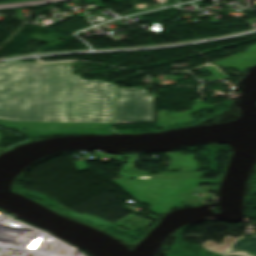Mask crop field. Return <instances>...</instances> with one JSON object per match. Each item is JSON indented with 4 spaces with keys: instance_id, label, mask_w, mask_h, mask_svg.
<instances>
[{
    "instance_id": "1",
    "label": "crop field",
    "mask_w": 256,
    "mask_h": 256,
    "mask_svg": "<svg viewBox=\"0 0 256 256\" xmlns=\"http://www.w3.org/2000/svg\"><path fill=\"white\" fill-rule=\"evenodd\" d=\"M72 61L0 64V122L29 134L111 131L115 85L71 74Z\"/></svg>"
},
{
    "instance_id": "2",
    "label": "crop field",
    "mask_w": 256,
    "mask_h": 256,
    "mask_svg": "<svg viewBox=\"0 0 256 256\" xmlns=\"http://www.w3.org/2000/svg\"><path fill=\"white\" fill-rule=\"evenodd\" d=\"M152 96L144 88H118L115 123L152 122Z\"/></svg>"
},
{
    "instance_id": "3",
    "label": "crop field",
    "mask_w": 256,
    "mask_h": 256,
    "mask_svg": "<svg viewBox=\"0 0 256 256\" xmlns=\"http://www.w3.org/2000/svg\"><path fill=\"white\" fill-rule=\"evenodd\" d=\"M253 63H256V44L251 45L245 53L234 54L214 64L243 71L246 66Z\"/></svg>"
},
{
    "instance_id": "4",
    "label": "crop field",
    "mask_w": 256,
    "mask_h": 256,
    "mask_svg": "<svg viewBox=\"0 0 256 256\" xmlns=\"http://www.w3.org/2000/svg\"><path fill=\"white\" fill-rule=\"evenodd\" d=\"M229 254L256 256V236L238 239L224 252V255Z\"/></svg>"
},
{
    "instance_id": "5",
    "label": "crop field",
    "mask_w": 256,
    "mask_h": 256,
    "mask_svg": "<svg viewBox=\"0 0 256 256\" xmlns=\"http://www.w3.org/2000/svg\"><path fill=\"white\" fill-rule=\"evenodd\" d=\"M233 240H235V238L231 236H227L226 238H224L222 245L216 244L213 241H209L202 244L201 246L210 251L221 253Z\"/></svg>"
},
{
    "instance_id": "6",
    "label": "crop field",
    "mask_w": 256,
    "mask_h": 256,
    "mask_svg": "<svg viewBox=\"0 0 256 256\" xmlns=\"http://www.w3.org/2000/svg\"><path fill=\"white\" fill-rule=\"evenodd\" d=\"M203 68L211 74V76H208L203 79L205 81L221 80V79H226L228 77L224 73H222L219 70V68L215 65L207 64V65L203 66Z\"/></svg>"
}]
</instances>
